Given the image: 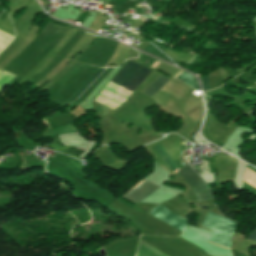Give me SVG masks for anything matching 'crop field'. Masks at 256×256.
Here are the masks:
<instances>
[{
    "instance_id": "obj_1",
    "label": "crop field",
    "mask_w": 256,
    "mask_h": 256,
    "mask_svg": "<svg viewBox=\"0 0 256 256\" xmlns=\"http://www.w3.org/2000/svg\"><path fill=\"white\" fill-rule=\"evenodd\" d=\"M202 225L212 230L210 241L218 246L230 248L231 235L236 227V222L208 212Z\"/></svg>"
},
{
    "instance_id": "obj_2",
    "label": "crop field",
    "mask_w": 256,
    "mask_h": 256,
    "mask_svg": "<svg viewBox=\"0 0 256 256\" xmlns=\"http://www.w3.org/2000/svg\"><path fill=\"white\" fill-rule=\"evenodd\" d=\"M151 72L152 70L128 60L111 82L133 92Z\"/></svg>"
},
{
    "instance_id": "obj_3",
    "label": "crop field",
    "mask_w": 256,
    "mask_h": 256,
    "mask_svg": "<svg viewBox=\"0 0 256 256\" xmlns=\"http://www.w3.org/2000/svg\"><path fill=\"white\" fill-rule=\"evenodd\" d=\"M178 173L202 201L211 198L206 185L187 164Z\"/></svg>"
},
{
    "instance_id": "obj_4",
    "label": "crop field",
    "mask_w": 256,
    "mask_h": 256,
    "mask_svg": "<svg viewBox=\"0 0 256 256\" xmlns=\"http://www.w3.org/2000/svg\"><path fill=\"white\" fill-rule=\"evenodd\" d=\"M158 189L159 187L143 180L135 188H133L126 196H124V198L136 204Z\"/></svg>"
},
{
    "instance_id": "obj_5",
    "label": "crop field",
    "mask_w": 256,
    "mask_h": 256,
    "mask_svg": "<svg viewBox=\"0 0 256 256\" xmlns=\"http://www.w3.org/2000/svg\"><path fill=\"white\" fill-rule=\"evenodd\" d=\"M151 215L179 228L182 231L186 224V220L175 215L174 213L170 212L169 210L165 209L164 207H162L160 205L153 209Z\"/></svg>"
},
{
    "instance_id": "obj_6",
    "label": "crop field",
    "mask_w": 256,
    "mask_h": 256,
    "mask_svg": "<svg viewBox=\"0 0 256 256\" xmlns=\"http://www.w3.org/2000/svg\"><path fill=\"white\" fill-rule=\"evenodd\" d=\"M157 150L159 156L161 157L163 163L165 166L169 169L170 172L176 173L179 169L173 164V162L170 160L169 156L167 155L166 151L164 150L161 143L154 146Z\"/></svg>"
},
{
    "instance_id": "obj_7",
    "label": "crop field",
    "mask_w": 256,
    "mask_h": 256,
    "mask_svg": "<svg viewBox=\"0 0 256 256\" xmlns=\"http://www.w3.org/2000/svg\"><path fill=\"white\" fill-rule=\"evenodd\" d=\"M169 79L165 76H161L159 79H157L151 86H149L146 90L150 91L151 93H155L163 84H165ZM169 97L172 102L175 104V106L177 107L178 104L182 103L178 100H176L175 98L171 97V96H167Z\"/></svg>"
},
{
    "instance_id": "obj_8",
    "label": "crop field",
    "mask_w": 256,
    "mask_h": 256,
    "mask_svg": "<svg viewBox=\"0 0 256 256\" xmlns=\"http://www.w3.org/2000/svg\"><path fill=\"white\" fill-rule=\"evenodd\" d=\"M104 69L99 68L95 75L86 83L84 84L69 100L65 101L64 103L60 104L62 108L71 103L73 100L77 99L85 90L86 88L92 83V81L103 71Z\"/></svg>"
},
{
    "instance_id": "obj_9",
    "label": "crop field",
    "mask_w": 256,
    "mask_h": 256,
    "mask_svg": "<svg viewBox=\"0 0 256 256\" xmlns=\"http://www.w3.org/2000/svg\"><path fill=\"white\" fill-rule=\"evenodd\" d=\"M176 79H178V80H180V81H182V82H184V83H186V84H188V85H190V86H192V87H194L195 89H197L198 91H200L199 90V85H198V82H197V80L195 79V77H193L192 75H190V74H184V73H182L180 76H178Z\"/></svg>"
},
{
    "instance_id": "obj_10",
    "label": "crop field",
    "mask_w": 256,
    "mask_h": 256,
    "mask_svg": "<svg viewBox=\"0 0 256 256\" xmlns=\"http://www.w3.org/2000/svg\"><path fill=\"white\" fill-rule=\"evenodd\" d=\"M200 80L202 82L203 91H209L206 77H202Z\"/></svg>"
},
{
    "instance_id": "obj_11",
    "label": "crop field",
    "mask_w": 256,
    "mask_h": 256,
    "mask_svg": "<svg viewBox=\"0 0 256 256\" xmlns=\"http://www.w3.org/2000/svg\"><path fill=\"white\" fill-rule=\"evenodd\" d=\"M159 64H160V62L156 61L154 64L151 65V67L155 68Z\"/></svg>"
},
{
    "instance_id": "obj_12",
    "label": "crop field",
    "mask_w": 256,
    "mask_h": 256,
    "mask_svg": "<svg viewBox=\"0 0 256 256\" xmlns=\"http://www.w3.org/2000/svg\"><path fill=\"white\" fill-rule=\"evenodd\" d=\"M177 76H178V75H177ZM177 76H176V77H177ZM176 77H175V78H176Z\"/></svg>"
},
{
    "instance_id": "obj_13",
    "label": "crop field",
    "mask_w": 256,
    "mask_h": 256,
    "mask_svg": "<svg viewBox=\"0 0 256 256\" xmlns=\"http://www.w3.org/2000/svg\"><path fill=\"white\" fill-rule=\"evenodd\" d=\"M225 249H227V248H225ZM230 250V249H229Z\"/></svg>"
}]
</instances>
